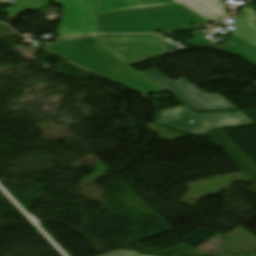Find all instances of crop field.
Listing matches in <instances>:
<instances>
[{"mask_svg": "<svg viewBox=\"0 0 256 256\" xmlns=\"http://www.w3.org/2000/svg\"><path fill=\"white\" fill-rule=\"evenodd\" d=\"M45 49L143 93L165 91L99 46L96 35L57 40Z\"/></svg>", "mask_w": 256, "mask_h": 256, "instance_id": "crop-field-1", "label": "crop field"}, {"mask_svg": "<svg viewBox=\"0 0 256 256\" xmlns=\"http://www.w3.org/2000/svg\"><path fill=\"white\" fill-rule=\"evenodd\" d=\"M97 20L99 33H156L155 28L165 32L209 23L180 4L101 14Z\"/></svg>", "mask_w": 256, "mask_h": 256, "instance_id": "crop-field-2", "label": "crop field"}, {"mask_svg": "<svg viewBox=\"0 0 256 256\" xmlns=\"http://www.w3.org/2000/svg\"><path fill=\"white\" fill-rule=\"evenodd\" d=\"M100 45L129 65H135L152 58L166 55L169 46L162 35H98Z\"/></svg>", "mask_w": 256, "mask_h": 256, "instance_id": "crop-field-3", "label": "crop field"}, {"mask_svg": "<svg viewBox=\"0 0 256 256\" xmlns=\"http://www.w3.org/2000/svg\"><path fill=\"white\" fill-rule=\"evenodd\" d=\"M191 120L195 121L190 123ZM160 123L180 132L204 134L215 127L255 125L242 111L207 112L197 114L187 106L174 118L160 116Z\"/></svg>", "mask_w": 256, "mask_h": 256, "instance_id": "crop-field-4", "label": "crop field"}, {"mask_svg": "<svg viewBox=\"0 0 256 256\" xmlns=\"http://www.w3.org/2000/svg\"><path fill=\"white\" fill-rule=\"evenodd\" d=\"M141 73L195 111L238 109L220 95L206 94L200 91L185 78L170 81L156 69Z\"/></svg>", "mask_w": 256, "mask_h": 256, "instance_id": "crop-field-5", "label": "crop field"}, {"mask_svg": "<svg viewBox=\"0 0 256 256\" xmlns=\"http://www.w3.org/2000/svg\"><path fill=\"white\" fill-rule=\"evenodd\" d=\"M56 1L64 6V15L57 32L61 37L97 33L94 0H29Z\"/></svg>", "mask_w": 256, "mask_h": 256, "instance_id": "crop-field-6", "label": "crop field"}, {"mask_svg": "<svg viewBox=\"0 0 256 256\" xmlns=\"http://www.w3.org/2000/svg\"><path fill=\"white\" fill-rule=\"evenodd\" d=\"M98 14L177 3L174 0H96Z\"/></svg>", "mask_w": 256, "mask_h": 256, "instance_id": "crop-field-7", "label": "crop field"}, {"mask_svg": "<svg viewBox=\"0 0 256 256\" xmlns=\"http://www.w3.org/2000/svg\"><path fill=\"white\" fill-rule=\"evenodd\" d=\"M235 36L256 48V11L248 6L242 9L238 18L234 20Z\"/></svg>", "mask_w": 256, "mask_h": 256, "instance_id": "crop-field-8", "label": "crop field"}, {"mask_svg": "<svg viewBox=\"0 0 256 256\" xmlns=\"http://www.w3.org/2000/svg\"><path fill=\"white\" fill-rule=\"evenodd\" d=\"M231 43L233 44L231 45ZM217 48L223 52L238 55L256 65V49L235 36L231 37L226 45Z\"/></svg>", "mask_w": 256, "mask_h": 256, "instance_id": "crop-field-9", "label": "crop field"}, {"mask_svg": "<svg viewBox=\"0 0 256 256\" xmlns=\"http://www.w3.org/2000/svg\"><path fill=\"white\" fill-rule=\"evenodd\" d=\"M223 0H196L197 14L214 21L226 16Z\"/></svg>", "mask_w": 256, "mask_h": 256, "instance_id": "crop-field-10", "label": "crop field"}, {"mask_svg": "<svg viewBox=\"0 0 256 256\" xmlns=\"http://www.w3.org/2000/svg\"><path fill=\"white\" fill-rule=\"evenodd\" d=\"M193 33L197 38L188 40L184 44H187L195 48H209L213 46L211 41L206 36H204L199 30L193 31Z\"/></svg>", "mask_w": 256, "mask_h": 256, "instance_id": "crop-field-11", "label": "crop field"}, {"mask_svg": "<svg viewBox=\"0 0 256 256\" xmlns=\"http://www.w3.org/2000/svg\"><path fill=\"white\" fill-rule=\"evenodd\" d=\"M136 253L137 252H133V251L117 250L101 256H141V255H136Z\"/></svg>", "mask_w": 256, "mask_h": 256, "instance_id": "crop-field-12", "label": "crop field"}, {"mask_svg": "<svg viewBox=\"0 0 256 256\" xmlns=\"http://www.w3.org/2000/svg\"><path fill=\"white\" fill-rule=\"evenodd\" d=\"M182 109H183V107L163 110V111H161L160 115L174 118Z\"/></svg>", "mask_w": 256, "mask_h": 256, "instance_id": "crop-field-13", "label": "crop field"}, {"mask_svg": "<svg viewBox=\"0 0 256 256\" xmlns=\"http://www.w3.org/2000/svg\"><path fill=\"white\" fill-rule=\"evenodd\" d=\"M176 1L184 5L185 7L191 9L192 11L196 12L195 0H176Z\"/></svg>", "mask_w": 256, "mask_h": 256, "instance_id": "crop-field-14", "label": "crop field"}, {"mask_svg": "<svg viewBox=\"0 0 256 256\" xmlns=\"http://www.w3.org/2000/svg\"><path fill=\"white\" fill-rule=\"evenodd\" d=\"M26 1H27V0H16V4L13 5V6H11V7L8 8V9H6L5 11L8 12V11L14 9L15 7L19 6L20 4H22V3L26 2Z\"/></svg>", "mask_w": 256, "mask_h": 256, "instance_id": "crop-field-15", "label": "crop field"}, {"mask_svg": "<svg viewBox=\"0 0 256 256\" xmlns=\"http://www.w3.org/2000/svg\"><path fill=\"white\" fill-rule=\"evenodd\" d=\"M253 256H256V255H253Z\"/></svg>", "mask_w": 256, "mask_h": 256, "instance_id": "crop-field-16", "label": "crop field"}, {"mask_svg": "<svg viewBox=\"0 0 256 256\" xmlns=\"http://www.w3.org/2000/svg\"><path fill=\"white\" fill-rule=\"evenodd\" d=\"M256 85V84H255Z\"/></svg>", "mask_w": 256, "mask_h": 256, "instance_id": "crop-field-17", "label": "crop field"}]
</instances>
